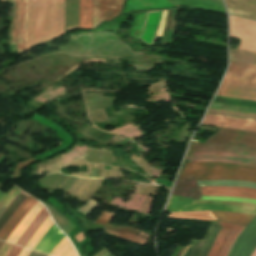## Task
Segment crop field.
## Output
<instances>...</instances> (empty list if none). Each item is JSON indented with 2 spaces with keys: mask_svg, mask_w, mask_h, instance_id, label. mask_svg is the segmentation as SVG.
Returning a JSON list of instances; mask_svg holds the SVG:
<instances>
[{
  "mask_svg": "<svg viewBox=\"0 0 256 256\" xmlns=\"http://www.w3.org/2000/svg\"><path fill=\"white\" fill-rule=\"evenodd\" d=\"M186 159L189 162H223L256 167V151L239 146L191 144Z\"/></svg>",
  "mask_w": 256,
  "mask_h": 256,
  "instance_id": "crop-field-1",
  "label": "crop field"
},
{
  "mask_svg": "<svg viewBox=\"0 0 256 256\" xmlns=\"http://www.w3.org/2000/svg\"><path fill=\"white\" fill-rule=\"evenodd\" d=\"M193 175L196 181L202 180H245L256 182V168L222 163H186L179 178ZM178 178V179H179Z\"/></svg>",
  "mask_w": 256,
  "mask_h": 256,
  "instance_id": "crop-field-2",
  "label": "crop field"
},
{
  "mask_svg": "<svg viewBox=\"0 0 256 256\" xmlns=\"http://www.w3.org/2000/svg\"><path fill=\"white\" fill-rule=\"evenodd\" d=\"M216 95L256 100V65L230 62Z\"/></svg>",
  "mask_w": 256,
  "mask_h": 256,
  "instance_id": "crop-field-3",
  "label": "crop field"
},
{
  "mask_svg": "<svg viewBox=\"0 0 256 256\" xmlns=\"http://www.w3.org/2000/svg\"><path fill=\"white\" fill-rule=\"evenodd\" d=\"M195 200H189L171 196L166 211L178 212V211H200V210H220V211H236L246 214L256 215V208L239 207L231 205H212V204H193Z\"/></svg>",
  "mask_w": 256,
  "mask_h": 256,
  "instance_id": "crop-field-4",
  "label": "crop field"
},
{
  "mask_svg": "<svg viewBox=\"0 0 256 256\" xmlns=\"http://www.w3.org/2000/svg\"><path fill=\"white\" fill-rule=\"evenodd\" d=\"M217 128L219 131L213 134L204 143L239 145L256 150V132Z\"/></svg>",
  "mask_w": 256,
  "mask_h": 256,
  "instance_id": "crop-field-5",
  "label": "crop field"
},
{
  "mask_svg": "<svg viewBox=\"0 0 256 256\" xmlns=\"http://www.w3.org/2000/svg\"><path fill=\"white\" fill-rule=\"evenodd\" d=\"M15 1V16L10 28L11 44H16L18 54L25 52V25H26V0H0Z\"/></svg>",
  "mask_w": 256,
  "mask_h": 256,
  "instance_id": "crop-field-6",
  "label": "crop field"
},
{
  "mask_svg": "<svg viewBox=\"0 0 256 256\" xmlns=\"http://www.w3.org/2000/svg\"><path fill=\"white\" fill-rule=\"evenodd\" d=\"M223 227L208 256H227L236 237L243 227L230 223L219 222Z\"/></svg>",
  "mask_w": 256,
  "mask_h": 256,
  "instance_id": "crop-field-7",
  "label": "crop field"
},
{
  "mask_svg": "<svg viewBox=\"0 0 256 256\" xmlns=\"http://www.w3.org/2000/svg\"><path fill=\"white\" fill-rule=\"evenodd\" d=\"M114 215L115 213L113 212L109 213L104 211L96 223L103 227L107 234L144 245V243L147 241V238L137 236L139 229L109 224Z\"/></svg>",
  "mask_w": 256,
  "mask_h": 256,
  "instance_id": "crop-field-8",
  "label": "crop field"
},
{
  "mask_svg": "<svg viewBox=\"0 0 256 256\" xmlns=\"http://www.w3.org/2000/svg\"><path fill=\"white\" fill-rule=\"evenodd\" d=\"M123 0H99V24L118 16ZM98 26V0H93V28Z\"/></svg>",
  "mask_w": 256,
  "mask_h": 256,
  "instance_id": "crop-field-9",
  "label": "crop field"
},
{
  "mask_svg": "<svg viewBox=\"0 0 256 256\" xmlns=\"http://www.w3.org/2000/svg\"><path fill=\"white\" fill-rule=\"evenodd\" d=\"M202 124L256 131V122L206 115Z\"/></svg>",
  "mask_w": 256,
  "mask_h": 256,
  "instance_id": "crop-field-10",
  "label": "crop field"
},
{
  "mask_svg": "<svg viewBox=\"0 0 256 256\" xmlns=\"http://www.w3.org/2000/svg\"><path fill=\"white\" fill-rule=\"evenodd\" d=\"M202 195L244 197L256 199V190L232 187H200Z\"/></svg>",
  "mask_w": 256,
  "mask_h": 256,
  "instance_id": "crop-field-11",
  "label": "crop field"
},
{
  "mask_svg": "<svg viewBox=\"0 0 256 256\" xmlns=\"http://www.w3.org/2000/svg\"><path fill=\"white\" fill-rule=\"evenodd\" d=\"M38 201L35 198L29 196L26 201L17 209L11 219L8 221L7 225L0 232V239L6 241L7 237L11 234L20 220L27 214L34 203ZM22 221V220H21Z\"/></svg>",
  "mask_w": 256,
  "mask_h": 256,
  "instance_id": "crop-field-12",
  "label": "crop field"
},
{
  "mask_svg": "<svg viewBox=\"0 0 256 256\" xmlns=\"http://www.w3.org/2000/svg\"><path fill=\"white\" fill-rule=\"evenodd\" d=\"M62 232H60L55 224L46 232L43 238L39 241V243L35 246L34 250L48 253L54 249V247L61 242V240L65 237Z\"/></svg>",
  "mask_w": 256,
  "mask_h": 256,
  "instance_id": "crop-field-13",
  "label": "crop field"
},
{
  "mask_svg": "<svg viewBox=\"0 0 256 256\" xmlns=\"http://www.w3.org/2000/svg\"><path fill=\"white\" fill-rule=\"evenodd\" d=\"M43 206L38 201L32 207V209L28 212V214L22 219V221L18 224L15 230L12 232L10 237L7 239L8 242L15 244L18 238L23 234L31 221L36 217V215L42 210Z\"/></svg>",
  "mask_w": 256,
  "mask_h": 256,
  "instance_id": "crop-field-14",
  "label": "crop field"
},
{
  "mask_svg": "<svg viewBox=\"0 0 256 256\" xmlns=\"http://www.w3.org/2000/svg\"><path fill=\"white\" fill-rule=\"evenodd\" d=\"M175 7L167 0H128L123 13L129 10H143L151 8Z\"/></svg>",
  "mask_w": 256,
  "mask_h": 256,
  "instance_id": "crop-field-15",
  "label": "crop field"
},
{
  "mask_svg": "<svg viewBox=\"0 0 256 256\" xmlns=\"http://www.w3.org/2000/svg\"><path fill=\"white\" fill-rule=\"evenodd\" d=\"M175 5H186L225 13L221 0H171Z\"/></svg>",
  "mask_w": 256,
  "mask_h": 256,
  "instance_id": "crop-field-16",
  "label": "crop field"
},
{
  "mask_svg": "<svg viewBox=\"0 0 256 256\" xmlns=\"http://www.w3.org/2000/svg\"><path fill=\"white\" fill-rule=\"evenodd\" d=\"M215 219L245 227L255 216L235 212L211 211Z\"/></svg>",
  "mask_w": 256,
  "mask_h": 256,
  "instance_id": "crop-field-17",
  "label": "crop field"
},
{
  "mask_svg": "<svg viewBox=\"0 0 256 256\" xmlns=\"http://www.w3.org/2000/svg\"><path fill=\"white\" fill-rule=\"evenodd\" d=\"M79 28L92 29V0H79Z\"/></svg>",
  "mask_w": 256,
  "mask_h": 256,
  "instance_id": "crop-field-18",
  "label": "crop field"
},
{
  "mask_svg": "<svg viewBox=\"0 0 256 256\" xmlns=\"http://www.w3.org/2000/svg\"><path fill=\"white\" fill-rule=\"evenodd\" d=\"M48 212L46 211L45 207L44 209L38 214V216L32 221L30 226L27 228V230L24 232V234L19 238V240L16 242V245H20L25 247L27 241L30 239V237L34 234L38 226L43 222V220L48 216Z\"/></svg>",
  "mask_w": 256,
  "mask_h": 256,
  "instance_id": "crop-field-19",
  "label": "crop field"
},
{
  "mask_svg": "<svg viewBox=\"0 0 256 256\" xmlns=\"http://www.w3.org/2000/svg\"><path fill=\"white\" fill-rule=\"evenodd\" d=\"M28 197L25 193L22 191L13 199V201L10 203V205L6 208V210L2 213L0 216V231L2 228L6 225L9 218L12 216V214L15 212V210L25 201V199Z\"/></svg>",
  "mask_w": 256,
  "mask_h": 256,
  "instance_id": "crop-field-20",
  "label": "crop field"
},
{
  "mask_svg": "<svg viewBox=\"0 0 256 256\" xmlns=\"http://www.w3.org/2000/svg\"><path fill=\"white\" fill-rule=\"evenodd\" d=\"M207 114L256 121V114L209 108Z\"/></svg>",
  "mask_w": 256,
  "mask_h": 256,
  "instance_id": "crop-field-21",
  "label": "crop field"
},
{
  "mask_svg": "<svg viewBox=\"0 0 256 256\" xmlns=\"http://www.w3.org/2000/svg\"><path fill=\"white\" fill-rule=\"evenodd\" d=\"M213 103L256 109V101H249V100H242V99L216 96Z\"/></svg>",
  "mask_w": 256,
  "mask_h": 256,
  "instance_id": "crop-field-22",
  "label": "crop field"
},
{
  "mask_svg": "<svg viewBox=\"0 0 256 256\" xmlns=\"http://www.w3.org/2000/svg\"><path fill=\"white\" fill-rule=\"evenodd\" d=\"M44 204L48 208L52 218L56 222V224L59 226V228L67 235L75 226L67 220L65 217H63L61 214H59L57 211H55L51 206L47 205L45 202Z\"/></svg>",
  "mask_w": 256,
  "mask_h": 256,
  "instance_id": "crop-field-23",
  "label": "crop field"
},
{
  "mask_svg": "<svg viewBox=\"0 0 256 256\" xmlns=\"http://www.w3.org/2000/svg\"><path fill=\"white\" fill-rule=\"evenodd\" d=\"M172 218H182V219H198V220H215L210 211L201 212H178L170 213L168 215Z\"/></svg>",
  "mask_w": 256,
  "mask_h": 256,
  "instance_id": "crop-field-24",
  "label": "crop field"
},
{
  "mask_svg": "<svg viewBox=\"0 0 256 256\" xmlns=\"http://www.w3.org/2000/svg\"><path fill=\"white\" fill-rule=\"evenodd\" d=\"M53 221L50 215L45 219V221L39 226L35 234L28 241L26 247L33 249L36 243L41 239V237L45 234V232L53 225Z\"/></svg>",
  "mask_w": 256,
  "mask_h": 256,
  "instance_id": "crop-field-25",
  "label": "crop field"
},
{
  "mask_svg": "<svg viewBox=\"0 0 256 256\" xmlns=\"http://www.w3.org/2000/svg\"><path fill=\"white\" fill-rule=\"evenodd\" d=\"M226 3L230 8L256 13V0H226Z\"/></svg>",
  "mask_w": 256,
  "mask_h": 256,
  "instance_id": "crop-field-26",
  "label": "crop field"
},
{
  "mask_svg": "<svg viewBox=\"0 0 256 256\" xmlns=\"http://www.w3.org/2000/svg\"><path fill=\"white\" fill-rule=\"evenodd\" d=\"M250 55L251 52L248 51L230 49V61L256 64V53L252 52L251 55V58L255 59H250Z\"/></svg>",
  "mask_w": 256,
  "mask_h": 256,
  "instance_id": "crop-field-27",
  "label": "crop field"
},
{
  "mask_svg": "<svg viewBox=\"0 0 256 256\" xmlns=\"http://www.w3.org/2000/svg\"><path fill=\"white\" fill-rule=\"evenodd\" d=\"M70 242L67 236L63 239V241L56 246V248L51 252V255L59 256L68 246ZM74 248L72 244L60 255V256H70L74 252ZM71 256H78L76 251Z\"/></svg>",
  "mask_w": 256,
  "mask_h": 256,
  "instance_id": "crop-field-28",
  "label": "crop field"
},
{
  "mask_svg": "<svg viewBox=\"0 0 256 256\" xmlns=\"http://www.w3.org/2000/svg\"><path fill=\"white\" fill-rule=\"evenodd\" d=\"M199 186H210V185H224V186H239V187H250L256 188L255 183L243 182V181H202L197 182Z\"/></svg>",
  "mask_w": 256,
  "mask_h": 256,
  "instance_id": "crop-field-29",
  "label": "crop field"
},
{
  "mask_svg": "<svg viewBox=\"0 0 256 256\" xmlns=\"http://www.w3.org/2000/svg\"><path fill=\"white\" fill-rule=\"evenodd\" d=\"M145 15L146 13L135 15L134 25L131 30L130 36L137 39L139 38L142 28L144 26Z\"/></svg>",
  "mask_w": 256,
  "mask_h": 256,
  "instance_id": "crop-field-30",
  "label": "crop field"
},
{
  "mask_svg": "<svg viewBox=\"0 0 256 256\" xmlns=\"http://www.w3.org/2000/svg\"><path fill=\"white\" fill-rule=\"evenodd\" d=\"M17 189V187H12L10 189V191L0 200V214L4 211V209L6 208L7 205H5V201L8 199V197ZM20 192V190H16L11 196L10 198L7 200L6 204H9L11 202V200Z\"/></svg>",
  "mask_w": 256,
  "mask_h": 256,
  "instance_id": "crop-field-31",
  "label": "crop field"
},
{
  "mask_svg": "<svg viewBox=\"0 0 256 256\" xmlns=\"http://www.w3.org/2000/svg\"><path fill=\"white\" fill-rule=\"evenodd\" d=\"M201 200L239 201V202H249V203L256 204V200L243 199V198H230V197L202 196Z\"/></svg>",
  "mask_w": 256,
  "mask_h": 256,
  "instance_id": "crop-field-32",
  "label": "crop field"
},
{
  "mask_svg": "<svg viewBox=\"0 0 256 256\" xmlns=\"http://www.w3.org/2000/svg\"><path fill=\"white\" fill-rule=\"evenodd\" d=\"M97 203L95 201H93L92 199L90 201H88L86 204L82 205L81 207H79L78 209H76L77 211H79L81 214L83 215H87L89 214L93 209H95L97 207Z\"/></svg>",
  "mask_w": 256,
  "mask_h": 256,
  "instance_id": "crop-field-33",
  "label": "crop field"
},
{
  "mask_svg": "<svg viewBox=\"0 0 256 256\" xmlns=\"http://www.w3.org/2000/svg\"><path fill=\"white\" fill-rule=\"evenodd\" d=\"M33 162H35V161L33 159H31V160H27V161L18 163L16 166V169H15L14 173L11 175V177H20L19 170Z\"/></svg>",
  "mask_w": 256,
  "mask_h": 256,
  "instance_id": "crop-field-34",
  "label": "crop field"
},
{
  "mask_svg": "<svg viewBox=\"0 0 256 256\" xmlns=\"http://www.w3.org/2000/svg\"><path fill=\"white\" fill-rule=\"evenodd\" d=\"M196 203L233 204V205H240V206L256 207V205H255V204H247V203H232V202H219V201H197Z\"/></svg>",
  "mask_w": 256,
  "mask_h": 256,
  "instance_id": "crop-field-35",
  "label": "crop field"
},
{
  "mask_svg": "<svg viewBox=\"0 0 256 256\" xmlns=\"http://www.w3.org/2000/svg\"><path fill=\"white\" fill-rule=\"evenodd\" d=\"M228 11L231 14H235V15H240V16L256 19V14L247 13V12H243V11H239V10H234V9H230V8H228Z\"/></svg>",
  "mask_w": 256,
  "mask_h": 256,
  "instance_id": "crop-field-36",
  "label": "crop field"
},
{
  "mask_svg": "<svg viewBox=\"0 0 256 256\" xmlns=\"http://www.w3.org/2000/svg\"><path fill=\"white\" fill-rule=\"evenodd\" d=\"M11 248L12 245L4 243L3 246L0 248V256H7Z\"/></svg>",
  "mask_w": 256,
  "mask_h": 256,
  "instance_id": "crop-field-37",
  "label": "crop field"
},
{
  "mask_svg": "<svg viewBox=\"0 0 256 256\" xmlns=\"http://www.w3.org/2000/svg\"><path fill=\"white\" fill-rule=\"evenodd\" d=\"M166 13H167V11H163V13H162V18H161L160 27H159V30H158L157 35H156V36H158V37L161 36V33H162V31H163L164 24H165Z\"/></svg>",
  "mask_w": 256,
  "mask_h": 256,
  "instance_id": "crop-field-38",
  "label": "crop field"
},
{
  "mask_svg": "<svg viewBox=\"0 0 256 256\" xmlns=\"http://www.w3.org/2000/svg\"><path fill=\"white\" fill-rule=\"evenodd\" d=\"M21 251H22V248L13 246V248L10 251V253L8 254V256H18Z\"/></svg>",
  "mask_w": 256,
  "mask_h": 256,
  "instance_id": "crop-field-39",
  "label": "crop field"
},
{
  "mask_svg": "<svg viewBox=\"0 0 256 256\" xmlns=\"http://www.w3.org/2000/svg\"><path fill=\"white\" fill-rule=\"evenodd\" d=\"M29 253H30V251H29V250H25V249H23V251L20 253V255H19V256H27Z\"/></svg>",
  "mask_w": 256,
  "mask_h": 256,
  "instance_id": "crop-field-40",
  "label": "crop field"
},
{
  "mask_svg": "<svg viewBox=\"0 0 256 256\" xmlns=\"http://www.w3.org/2000/svg\"><path fill=\"white\" fill-rule=\"evenodd\" d=\"M29 256H47V255H43V254H40V253H37V252H31L30 254H29Z\"/></svg>",
  "mask_w": 256,
  "mask_h": 256,
  "instance_id": "crop-field-41",
  "label": "crop field"
},
{
  "mask_svg": "<svg viewBox=\"0 0 256 256\" xmlns=\"http://www.w3.org/2000/svg\"><path fill=\"white\" fill-rule=\"evenodd\" d=\"M251 256H256V248L254 249L253 253L251 254Z\"/></svg>",
  "mask_w": 256,
  "mask_h": 256,
  "instance_id": "crop-field-42",
  "label": "crop field"
},
{
  "mask_svg": "<svg viewBox=\"0 0 256 256\" xmlns=\"http://www.w3.org/2000/svg\"><path fill=\"white\" fill-rule=\"evenodd\" d=\"M5 193H3L2 191H0V199L2 198V196L4 195Z\"/></svg>",
  "mask_w": 256,
  "mask_h": 256,
  "instance_id": "crop-field-43",
  "label": "crop field"
},
{
  "mask_svg": "<svg viewBox=\"0 0 256 256\" xmlns=\"http://www.w3.org/2000/svg\"><path fill=\"white\" fill-rule=\"evenodd\" d=\"M3 242L0 241V247L2 246Z\"/></svg>",
  "mask_w": 256,
  "mask_h": 256,
  "instance_id": "crop-field-44",
  "label": "crop field"
}]
</instances>
